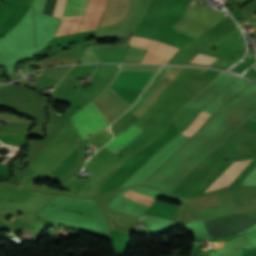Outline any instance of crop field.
I'll return each instance as SVG.
<instances>
[{"instance_id":"crop-field-16","label":"crop field","mask_w":256,"mask_h":256,"mask_svg":"<svg viewBox=\"0 0 256 256\" xmlns=\"http://www.w3.org/2000/svg\"><path fill=\"white\" fill-rule=\"evenodd\" d=\"M224 63H225V62H224ZM224 63H223V64H224ZM223 64H222V65H223ZM222 65H221V66H222Z\"/></svg>"},{"instance_id":"crop-field-10","label":"crop field","mask_w":256,"mask_h":256,"mask_svg":"<svg viewBox=\"0 0 256 256\" xmlns=\"http://www.w3.org/2000/svg\"><path fill=\"white\" fill-rule=\"evenodd\" d=\"M77 0H67L65 12L63 18H72L75 4ZM87 3V0H78L74 17L73 18H82V14L84 12L85 5Z\"/></svg>"},{"instance_id":"crop-field-8","label":"crop field","mask_w":256,"mask_h":256,"mask_svg":"<svg viewBox=\"0 0 256 256\" xmlns=\"http://www.w3.org/2000/svg\"><path fill=\"white\" fill-rule=\"evenodd\" d=\"M127 48L99 49L94 50L100 62H121Z\"/></svg>"},{"instance_id":"crop-field-5","label":"crop field","mask_w":256,"mask_h":256,"mask_svg":"<svg viewBox=\"0 0 256 256\" xmlns=\"http://www.w3.org/2000/svg\"><path fill=\"white\" fill-rule=\"evenodd\" d=\"M107 0H89L87 9L77 32L96 28L98 20L105 9Z\"/></svg>"},{"instance_id":"crop-field-13","label":"crop field","mask_w":256,"mask_h":256,"mask_svg":"<svg viewBox=\"0 0 256 256\" xmlns=\"http://www.w3.org/2000/svg\"><path fill=\"white\" fill-rule=\"evenodd\" d=\"M194 59H195V60L211 61V62H214V61L216 60V58L204 56V55H201V54L197 55ZM195 60H191L189 63L203 64V65H209V64H211L210 62L195 61Z\"/></svg>"},{"instance_id":"crop-field-6","label":"crop field","mask_w":256,"mask_h":256,"mask_svg":"<svg viewBox=\"0 0 256 256\" xmlns=\"http://www.w3.org/2000/svg\"><path fill=\"white\" fill-rule=\"evenodd\" d=\"M251 160L252 159L234 162L215 180V182L205 192L229 186Z\"/></svg>"},{"instance_id":"crop-field-1","label":"crop field","mask_w":256,"mask_h":256,"mask_svg":"<svg viewBox=\"0 0 256 256\" xmlns=\"http://www.w3.org/2000/svg\"><path fill=\"white\" fill-rule=\"evenodd\" d=\"M161 67L121 65L109 84L143 91Z\"/></svg>"},{"instance_id":"crop-field-7","label":"crop field","mask_w":256,"mask_h":256,"mask_svg":"<svg viewBox=\"0 0 256 256\" xmlns=\"http://www.w3.org/2000/svg\"><path fill=\"white\" fill-rule=\"evenodd\" d=\"M141 131V129L131 124L124 133L115 137L105 146V148L117 153L123 147H125L128 142L134 139Z\"/></svg>"},{"instance_id":"crop-field-4","label":"crop field","mask_w":256,"mask_h":256,"mask_svg":"<svg viewBox=\"0 0 256 256\" xmlns=\"http://www.w3.org/2000/svg\"><path fill=\"white\" fill-rule=\"evenodd\" d=\"M129 45L149 49L143 60V62L147 63H165L178 50V48L159 41L135 36L132 37Z\"/></svg>"},{"instance_id":"crop-field-17","label":"crop field","mask_w":256,"mask_h":256,"mask_svg":"<svg viewBox=\"0 0 256 256\" xmlns=\"http://www.w3.org/2000/svg\"><path fill=\"white\" fill-rule=\"evenodd\" d=\"M1 143V142H0Z\"/></svg>"},{"instance_id":"crop-field-9","label":"crop field","mask_w":256,"mask_h":256,"mask_svg":"<svg viewBox=\"0 0 256 256\" xmlns=\"http://www.w3.org/2000/svg\"><path fill=\"white\" fill-rule=\"evenodd\" d=\"M200 110L192 108H182L181 111L174 118L178 132H181L187 127Z\"/></svg>"},{"instance_id":"crop-field-2","label":"crop field","mask_w":256,"mask_h":256,"mask_svg":"<svg viewBox=\"0 0 256 256\" xmlns=\"http://www.w3.org/2000/svg\"><path fill=\"white\" fill-rule=\"evenodd\" d=\"M83 108L98 130L110 125L92 101ZM84 110L80 109L70 118L82 140L88 138V135L98 132Z\"/></svg>"},{"instance_id":"crop-field-11","label":"crop field","mask_w":256,"mask_h":256,"mask_svg":"<svg viewBox=\"0 0 256 256\" xmlns=\"http://www.w3.org/2000/svg\"><path fill=\"white\" fill-rule=\"evenodd\" d=\"M210 114L202 111L199 116L194 120V122L182 133V135L190 137L195 133L198 128L203 124V122L208 118Z\"/></svg>"},{"instance_id":"crop-field-3","label":"crop field","mask_w":256,"mask_h":256,"mask_svg":"<svg viewBox=\"0 0 256 256\" xmlns=\"http://www.w3.org/2000/svg\"><path fill=\"white\" fill-rule=\"evenodd\" d=\"M174 67H165L155 78V80L151 83V85L148 87V89L142 94L140 100L136 103V105L131 108L128 112L134 113L136 109L147 99V97L150 95V93L153 91V89L156 87V85L160 82V80L173 69ZM183 67H175L170 73H168L162 81L157 85V87L154 89V91L151 93V95L148 97V99L138 108V110L134 113V115L140 117V115L148 108V106L151 104V102L154 100L156 95L159 93V91L170 82V80L176 76Z\"/></svg>"},{"instance_id":"crop-field-15","label":"crop field","mask_w":256,"mask_h":256,"mask_svg":"<svg viewBox=\"0 0 256 256\" xmlns=\"http://www.w3.org/2000/svg\"><path fill=\"white\" fill-rule=\"evenodd\" d=\"M64 3H65V0H57L56 7H55L53 15L61 17L63 7H64Z\"/></svg>"},{"instance_id":"crop-field-14","label":"crop field","mask_w":256,"mask_h":256,"mask_svg":"<svg viewBox=\"0 0 256 256\" xmlns=\"http://www.w3.org/2000/svg\"><path fill=\"white\" fill-rule=\"evenodd\" d=\"M4 1L10 4L12 8L28 6V3L25 0H4Z\"/></svg>"},{"instance_id":"crop-field-12","label":"crop field","mask_w":256,"mask_h":256,"mask_svg":"<svg viewBox=\"0 0 256 256\" xmlns=\"http://www.w3.org/2000/svg\"><path fill=\"white\" fill-rule=\"evenodd\" d=\"M122 194L126 195V196H129L133 199H136L142 203H145L149 206H151L152 202L154 201L153 199H150L148 197H145V196H142V195H139V194H136L134 192H131V191H128V192H123Z\"/></svg>"}]
</instances>
